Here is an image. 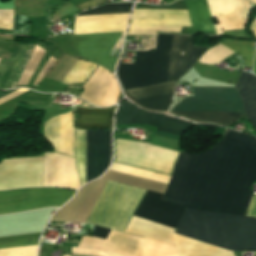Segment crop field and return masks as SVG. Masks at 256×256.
Returning <instances> with one entry per match:
<instances>
[{"mask_svg": "<svg viewBox=\"0 0 256 256\" xmlns=\"http://www.w3.org/2000/svg\"><path fill=\"white\" fill-rule=\"evenodd\" d=\"M59 162V153H45L43 187L58 186Z\"/></svg>", "mask_w": 256, "mask_h": 256, "instance_id": "obj_20", "label": "crop field"}, {"mask_svg": "<svg viewBox=\"0 0 256 256\" xmlns=\"http://www.w3.org/2000/svg\"><path fill=\"white\" fill-rule=\"evenodd\" d=\"M105 256H118V255H114V254H111V253H107V252H106Z\"/></svg>", "mask_w": 256, "mask_h": 256, "instance_id": "obj_37", "label": "crop field"}, {"mask_svg": "<svg viewBox=\"0 0 256 256\" xmlns=\"http://www.w3.org/2000/svg\"><path fill=\"white\" fill-rule=\"evenodd\" d=\"M154 53L137 51L134 63H119L117 76L124 89L151 85Z\"/></svg>", "mask_w": 256, "mask_h": 256, "instance_id": "obj_15", "label": "crop field"}, {"mask_svg": "<svg viewBox=\"0 0 256 256\" xmlns=\"http://www.w3.org/2000/svg\"><path fill=\"white\" fill-rule=\"evenodd\" d=\"M135 9H172V10H187L185 1L180 0L168 6H151L147 4L137 3Z\"/></svg>", "mask_w": 256, "mask_h": 256, "instance_id": "obj_28", "label": "crop field"}, {"mask_svg": "<svg viewBox=\"0 0 256 256\" xmlns=\"http://www.w3.org/2000/svg\"><path fill=\"white\" fill-rule=\"evenodd\" d=\"M75 154L82 181L86 183V156L87 182L98 178L110 165L111 159V130H76Z\"/></svg>", "mask_w": 256, "mask_h": 256, "instance_id": "obj_10", "label": "crop field"}, {"mask_svg": "<svg viewBox=\"0 0 256 256\" xmlns=\"http://www.w3.org/2000/svg\"><path fill=\"white\" fill-rule=\"evenodd\" d=\"M37 247L38 245L3 249L0 250V256H36Z\"/></svg>", "mask_w": 256, "mask_h": 256, "instance_id": "obj_27", "label": "crop field"}, {"mask_svg": "<svg viewBox=\"0 0 256 256\" xmlns=\"http://www.w3.org/2000/svg\"><path fill=\"white\" fill-rule=\"evenodd\" d=\"M117 124H148L157 126L158 132L180 136L183 131L192 125L188 121L176 118L143 112L134 107L130 102H122L116 116ZM155 132L154 135L176 139L179 137ZM116 141L115 161L126 164L141 166L164 173H170L177 152L148 145L136 141Z\"/></svg>", "mask_w": 256, "mask_h": 256, "instance_id": "obj_3", "label": "crop field"}, {"mask_svg": "<svg viewBox=\"0 0 256 256\" xmlns=\"http://www.w3.org/2000/svg\"><path fill=\"white\" fill-rule=\"evenodd\" d=\"M132 25L192 26L187 11L134 10ZM130 26L129 34L180 32L181 27Z\"/></svg>", "mask_w": 256, "mask_h": 256, "instance_id": "obj_14", "label": "crop field"}, {"mask_svg": "<svg viewBox=\"0 0 256 256\" xmlns=\"http://www.w3.org/2000/svg\"><path fill=\"white\" fill-rule=\"evenodd\" d=\"M16 45H17V42H13V41H10L3 37H0V48L1 49H4L6 51L13 53Z\"/></svg>", "mask_w": 256, "mask_h": 256, "instance_id": "obj_31", "label": "crop field"}, {"mask_svg": "<svg viewBox=\"0 0 256 256\" xmlns=\"http://www.w3.org/2000/svg\"><path fill=\"white\" fill-rule=\"evenodd\" d=\"M25 16L14 15V29L13 32L28 34L29 24L26 23Z\"/></svg>", "mask_w": 256, "mask_h": 256, "instance_id": "obj_29", "label": "crop field"}, {"mask_svg": "<svg viewBox=\"0 0 256 256\" xmlns=\"http://www.w3.org/2000/svg\"><path fill=\"white\" fill-rule=\"evenodd\" d=\"M195 33L221 34L223 30L244 29L250 4L247 0H185Z\"/></svg>", "mask_w": 256, "mask_h": 256, "instance_id": "obj_7", "label": "crop field"}, {"mask_svg": "<svg viewBox=\"0 0 256 256\" xmlns=\"http://www.w3.org/2000/svg\"><path fill=\"white\" fill-rule=\"evenodd\" d=\"M27 90L28 89H20V90L14 92V93H12L8 96L5 95L6 97H3V98L0 99V104L9 100V99H11V98H13V97H15V96H17V95H19V94H21V93H23V92H25V91H27Z\"/></svg>", "mask_w": 256, "mask_h": 256, "instance_id": "obj_35", "label": "crop field"}, {"mask_svg": "<svg viewBox=\"0 0 256 256\" xmlns=\"http://www.w3.org/2000/svg\"><path fill=\"white\" fill-rule=\"evenodd\" d=\"M43 158H22L0 163V190L41 187Z\"/></svg>", "mask_w": 256, "mask_h": 256, "instance_id": "obj_13", "label": "crop field"}, {"mask_svg": "<svg viewBox=\"0 0 256 256\" xmlns=\"http://www.w3.org/2000/svg\"><path fill=\"white\" fill-rule=\"evenodd\" d=\"M144 192V189L111 182L88 223L123 231Z\"/></svg>", "mask_w": 256, "mask_h": 256, "instance_id": "obj_9", "label": "crop field"}, {"mask_svg": "<svg viewBox=\"0 0 256 256\" xmlns=\"http://www.w3.org/2000/svg\"><path fill=\"white\" fill-rule=\"evenodd\" d=\"M256 179V139L226 129L200 152L182 151L163 201L190 209L246 215ZM246 216L256 217V197Z\"/></svg>", "mask_w": 256, "mask_h": 256, "instance_id": "obj_1", "label": "crop field"}, {"mask_svg": "<svg viewBox=\"0 0 256 256\" xmlns=\"http://www.w3.org/2000/svg\"><path fill=\"white\" fill-rule=\"evenodd\" d=\"M115 106L109 108L78 107L77 128H111Z\"/></svg>", "mask_w": 256, "mask_h": 256, "instance_id": "obj_18", "label": "crop field"}, {"mask_svg": "<svg viewBox=\"0 0 256 256\" xmlns=\"http://www.w3.org/2000/svg\"><path fill=\"white\" fill-rule=\"evenodd\" d=\"M55 62V59L51 58L49 59V61L47 62V64L44 66V68L42 69V71L40 72L35 85H38V83L40 82V80L43 78V76L47 73V71L52 67L53 63Z\"/></svg>", "mask_w": 256, "mask_h": 256, "instance_id": "obj_34", "label": "crop field"}, {"mask_svg": "<svg viewBox=\"0 0 256 256\" xmlns=\"http://www.w3.org/2000/svg\"><path fill=\"white\" fill-rule=\"evenodd\" d=\"M109 232H110V229L94 226L93 236L106 239Z\"/></svg>", "mask_w": 256, "mask_h": 256, "instance_id": "obj_33", "label": "crop field"}, {"mask_svg": "<svg viewBox=\"0 0 256 256\" xmlns=\"http://www.w3.org/2000/svg\"><path fill=\"white\" fill-rule=\"evenodd\" d=\"M171 36L168 34H158L152 85L166 82ZM207 49L194 47L192 36L173 35L167 82L176 81L184 75Z\"/></svg>", "mask_w": 256, "mask_h": 256, "instance_id": "obj_8", "label": "crop field"}, {"mask_svg": "<svg viewBox=\"0 0 256 256\" xmlns=\"http://www.w3.org/2000/svg\"><path fill=\"white\" fill-rule=\"evenodd\" d=\"M235 89L242 98L246 116L256 129V76L243 72Z\"/></svg>", "mask_w": 256, "mask_h": 256, "instance_id": "obj_19", "label": "crop field"}, {"mask_svg": "<svg viewBox=\"0 0 256 256\" xmlns=\"http://www.w3.org/2000/svg\"><path fill=\"white\" fill-rule=\"evenodd\" d=\"M62 153L74 156L73 111L60 115ZM59 115L45 123V136L57 152L61 153Z\"/></svg>", "mask_w": 256, "mask_h": 256, "instance_id": "obj_16", "label": "crop field"}, {"mask_svg": "<svg viewBox=\"0 0 256 256\" xmlns=\"http://www.w3.org/2000/svg\"><path fill=\"white\" fill-rule=\"evenodd\" d=\"M175 82L163 83L156 86H149L129 90L137 100L174 91ZM127 90H123L126 97L136 102L145 109L156 111H167L173 92L136 101L135 97Z\"/></svg>", "mask_w": 256, "mask_h": 256, "instance_id": "obj_17", "label": "crop field"}, {"mask_svg": "<svg viewBox=\"0 0 256 256\" xmlns=\"http://www.w3.org/2000/svg\"><path fill=\"white\" fill-rule=\"evenodd\" d=\"M96 65L79 60L75 67L64 79L63 83L69 85L75 82H85L91 72L95 69Z\"/></svg>", "mask_w": 256, "mask_h": 256, "instance_id": "obj_23", "label": "crop field"}, {"mask_svg": "<svg viewBox=\"0 0 256 256\" xmlns=\"http://www.w3.org/2000/svg\"><path fill=\"white\" fill-rule=\"evenodd\" d=\"M251 30H252V31L254 32V34L256 35V21H255L253 27L251 28Z\"/></svg>", "mask_w": 256, "mask_h": 256, "instance_id": "obj_36", "label": "crop field"}, {"mask_svg": "<svg viewBox=\"0 0 256 256\" xmlns=\"http://www.w3.org/2000/svg\"><path fill=\"white\" fill-rule=\"evenodd\" d=\"M45 51L35 46L18 85H27Z\"/></svg>", "mask_w": 256, "mask_h": 256, "instance_id": "obj_25", "label": "crop field"}, {"mask_svg": "<svg viewBox=\"0 0 256 256\" xmlns=\"http://www.w3.org/2000/svg\"><path fill=\"white\" fill-rule=\"evenodd\" d=\"M107 1H110V0H89V1H86V2H83L81 4L76 5V7L78 9H80L81 11H83L85 9L95 7L99 4L107 2Z\"/></svg>", "mask_w": 256, "mask_h": 256, "instance_id": "obj_32", "label": "crop field"}, {"mask_svg": "<svg viewBox=\"0 0 256 256\" xmlns=\"http://www.w3.org/2000/svg\"><path fill=\"white\" fill-rule=\"evenodd\" d=\"M110 170L130 174V175H134V176H138V177H142V178H146V179H150V180H154V181H158L166 184L168 183V180L170 178L169 176L141 170L138 168H134V167H130V166L114 163V162L112 163Z\"/></svg>", "mask_w": 256, "mask_h": 256, "instance_id": "obj_22", "label": "crop field"}, {"mask_svg": "<svg viewBox=\"0 0 256 256\" xmlns=\"http://www.w3.org/2000/svg\"><path fill=\"white\" fill-rule=\"evenodd\" d=\"M220 43L222 45H224L225 47L229 48L230 50L234 51L235 53L243 56L245 59L246 65L252 67L253 52H254V45H255L254 43L233 41V40H229V39H224ZM235 53H231L229 56H231ZM229 56H227V57H229Z\"/></svg>", "mask_w": 256, "mask_h": 256, "instance_id": "obj_21", "label": "crop field"}, {"mask_svg": "<svg viewBox=\"0 0 256 256\" xmlns=\"http://www.w3.org/2000/svg\"><path fill=\"white\" fill-rule=\"evenodd\" d=\"M133 3L124 4H106L91 11L81 12L78 15H92V14H111V13H129ZM77 15V16H78Z\"/></svg>", "mask_w": 256, "mask_h": 256, "instance_id": "obj_26", "label": "crop field"}, {"mask_svg": "<svg viewBox=\"0 0 256 256\" xmlns=\"http://www.w3.org/2000/svg\"><path fill=\"white\" fill-rule=\"evenodd\" d=\"M162 196L147 190L134 215L176 228L185 209L161 201ZM135 216L132 217L125 232L174 245V228Z\"/></svg>", "mask_w": 256, "mask_h": 256, "instance_id": "obj_5", "label": "crop field"}, {"mask_svg": "<svg viewBox=\"0 0 256 256\" xmlns=\"http://www.w3.org/2000/svg\"><path fill=\"white\" fill-rule=\"evenodd\" d=\"M254 74H256V56H255Z\"/></svg>", "mask_w": 256, "mask_h": 256, "instance_id": "obj_38", "label": "crop field"}, {"mask_svg": "<svg viewBox=\"0 0 256 256\" xmlns=\"http://www.w3.org/2000/svg\"><path fill=\"white\" fill-rule=\"evenodd\" d=\"M76 191L59 189L29 188L0 192V214L45 208L60 207Z\"/></svg>", "mask_w": 256, "mask_h": 256, "instance_id": "obj_11", "label": "crop field"}, {"mask_svg": "<svg viewBox=\"0 0 256 256\" xmlns=\"http://www.w3.org/2000/svg\"><path fill=\"white\" fill-rule=\"evenodd\" d=\"M39 234L0 238V249L38 244Z\"/></svg>", "mask_w": 256, "mask_h": 256, "instance_id": "obj_24", "label": "crop field"}, {"mask_svg": "<svg viewBox=\"0 0 256 256\" xmlns=\"http://www.w3.org/2000/svg\"><path fill=\"white\" fill-rule=\"evenodd\" d=\"M101 250L123 256H178L174 246L113 230Z\"/></svg>", "mask_w": 256, "mask_h": 256, "instance_id": "obj_12", "label": "crop field"}, {"mask_svg": "<svg viewBox=\"0 0 256 256\" xmlns=\"http://www.w3.org/2000/svg\"><path fill=\"white\" fill-rule=\"evenodd\" d=\"M175 233L231 251L256 250V218L186 209ZM179 256H233L231 251L178 234Z\"/></svg>", "mask_w": 256, "mask_h": 256, "instance_id": "obj_2", "label": "crop field"}, {"mask_svg": "<svg viewBox=\"0 0 256 256\" xmlns=\"http://www.w3.org/2000/svg\"><path fill=\"white\" fill-rule=\"evenodd\" d=\"M182 102L216 103L241 105V99L234 88H195L194 97ZM179 103L172 111L243 113L242 106ZM172 112L196 121L220 125L236 123L242 114Z\"/></svg>", "mask_w": 256, "mask_h": 256, "instance_id": "obj_6", "label": "crop field"}, {"mask_svg": "<svg viewBox=\"0 0 256 256\" xmlns=\"http://www.w3.org/2000/svg\"><path fill=\"white\" fill-rule=\"evenodd\" d=\"M72 253L92 255V256H104V254H105V252H103V251L94 250V249H86V248H78V247H74Z\"/></svg>", "mask_w": 256, "mask_h": 256, "instance_id": "obj_30", "label": "crop field"}, {"mask_svg": "<svg viewBox=\"0 0 256 256\" xmlns=\"http://www.w3.org/2000/svg\"><path fill=\"white\" fill-rule=\"evenodd\" d=\"M128 16L129 14L76 17L74 34L123 31V35ZM120 35L121 32L81 34L75 35V41L83 59L94 61L114 71L117 57L109 55Z\"/></svg>", "mask_w": 256, "mask_h": 256, "instance_id": "obj_4", "label": "crop field"}, {"mask_svg": "<svg viewBox=\"0 0 256 256\" xmlns=\"http://www.w3.org/2000/svg\"><path fill=\"white\" fill-rule=\"evenodd\" d=\"M254 4H256V0H251Z\"/></svg>", "mask_w": 256, "mask_h": 256, "instance_id": "obj_39", "label": "crop field"}]
</instances>
